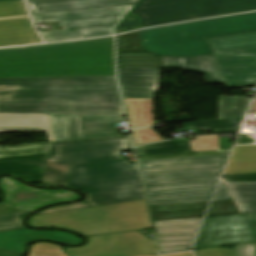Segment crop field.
I'll return each mask as SVG.
<instances>
[{
  "mask_svg": "<svg viewBox=\"0 0 256 256\" xmlns=\"http://www.w3.org/2000/svg\"><path fill=\"white\" fill-rule=\"evenodd\" d=\"M48 114L124 116L115 76L0 78V132H47Z\"/></svg>",
  "mask_w": 256,
  "mask_h": 256,
  "instance_id": "obj_1",
  "label": "crop field"
},
{
  "mask_svg": "<svg viewBox=\"0 0 256 256\" xmlns=\"http://www.w3.org/2000/svg\"><path fill=\"white\" fill-rule=\"evenodd\" d=\"M115 75L113 38L0 49V77Z\"/></svg>",
  "mask_w": 256,
  "mask_h": 256,
  "instance_id": "obj_2",
  "label": "crop field"
},
{
  "mask_svg": "<svg viewBox=\"0 0 256 256\" xmlns=\"http://www.w3.org/2000/svg\"><path fill=\"white\" fill-rule=\"evenodd\" d=\"M227 156L140 162L149 205L209 201Z\"/></svg>",
  "mask_w": 256,
  "mask_h": 256,
  "instance_id": "obj_3",
  "label": "crop field"
},
{
  "mask_svg": "<svg viewBox=\"0 0 256 256\" xmlns=\"http://www.w3.org/2000/svg\"><path fill=\"white\" fill-rule=\"evenodd\" d=\"M71 167L69 187L86 194L85 202L92 206L83 203L56 206L37 214L145 199L138 166L128 165L126 159Z\"/></svg>",
  "mask_w": 256,
  "mask_h": 256,
  "instance_id": "obj_4",
  "label": "crop field"
},
{
  "mask_svg": "<svg viewBox=\"0 0 256 256\" xmlns=\"http://www.w3.org/2000/svg\"><path fill=\"white\" fill-rule=\"evenodd\" d=\"M29 223L36 227L68 228L86 237L150 227L145 200L37 215Z\"/></svg>",
  "mask_w": 256,
  "mask_h": 256,
  "instance_id": "obj_5",
  "label": "crop field"
},
{
  "mask_svg": "<svg viewBox=\"0 0 256 256\" xmlns=\"http://www.w3.org/2000/svg\"><path fill=\"white\" fill-rule=\"evenodd\" d=\"M130 149L129 136L51 143L42 186H68L71 165L120 159Z\"/></svg>",
  "mask_w": 256,
  "mask_h": 256,
  "instance_id": "obj_6",
  "label": "crop field"
},
{
  "mask_svg": "<svg viewBox=\"0 0 256 256\" xmlns=\"http://www.w3.org/2000/svg\"><path fill=\"white\" fill-rule=\"evenodd\" d=\"M256 10V0H141L132 11L142 27Z\"/></svg>",
  "mask_w": 256,
  "mask_h": 256,
  "instance_id": "obj_7",
  "label": "crop field"
},
{
  "mask_svg": "<svg viewBox=\"0 0 256 256\" xmlns=\"http://www.w3.org/2000/svg\"><path fill=\"white\" fill-rule=\"evenodd\" d=\"M134 6L73 10L32 16L35 23L61 21L63 30L40 32L46 42H52L115 34L116 26Z\"/></svg>",
  "mask_w": 256,
  "mask_h": 256,
  "instance_id": "obj_8",
  "label": "crop field"
},
{
  "mask_svg": "<svg viewBox=\"0 0 256 256\" xmlns=\"http://www.w3.org/2000/svg\"><path fill=\"white\" fill-rule=\"evenodd\" d=\"M170 27L183 56L214 54L208 39L256 31V12Z\"/></svg>",
  "mask_w": 256,
  "mask_h": 256,
  "instance_id": "obj_9",
  "label": "crop field"
},
{
  "mask_svg": "<svg viewBox=\"0 0 256 256\" xmlns=\"http://www.w3.org/2000/svg\"><path fill=\"white\" fill-rule=\"evenodd\" d=\"M219 76L230 87L256 85V32L209 39Z\"/></svg>",
  "mask_w": 256,
  "mask_h": 256,
  "instance_id": "obj_10",
  "label": "crop field"
},
{
  "mask_svg": "<svg viewBox=\"0 0 256 256\" xmlns=\"http://www.w3.org/2000/svg\"><path fill=\"white\" fill-rule=\"evenodd\" d=\"M256 242V214L207 218L194 250Z\"/></svg>",
  "mask_w": 256,
  "mask_h": 256,
  "instance_id": "obj_11",
  "label": "crop field"
},
{
  "mask_svg": "<svg viewBox=\"0 0 256 256\" xmlns=\"http://www.w3.org/2000/svg\"><path fill=\"white\" fill-rule=\"evenodd\" d=\"M69 256H140L156 254L154 240L138 231L88 238L86 245L67 248Z\"/></svg>",
  "mask_w": 256,
  "mask_h": 256,
  "instance_id": "obj_12",
  "label": "crop field"
},
{
  "mask_svg": "<svg viewBox=\"0 0 256 256\" xmlns=\"http://www.w3.org/2000/svg\"><path fill=\"white\" fill-rule=\"evenodd\" d=\"M50 143L0 147V174L41 182Z\"/></svg>",
  "mask_w": 256,
  "mask_h": 256,
  "instance_id": "obj_13",
  "label": "crop field"
},
{
  "mask_svg": "<svg viewBox=\"0 0 256 256\" xmlns=\"http://www.w3.org/2000/svg\"><path fill=\"white\" fill-rule=\"evenodd\" d=\"M55 140L117 135L113 124L123 117L49 115Z\"/></svg>",
  "mask_w": 256,
  "mask_h": 256,
  "instance_id": "obj_14",
  "label": "crop field"
},
{
  "mask_svg": "<svg viewBox=\"0 0 256 256\" xmlns=\"http://www.w3.org/2000/svg\"><path fill=\"white\" fill-rule=\"evenodd\" d=\"M202 219L153 222L161 254L190 250Z\"/></svg>",
  "mask_w": 256,
  "mask_h": 256,
  "instance_id": "obj_15",
  "label": "crop field"
},
{
  "mask_svg": "<svg viewBox=\"0 0 256 256\" xmlns=\"http://www.w3.org/2000/svg\"><path fill=\"white\" fill-rule=\"evenodd\" d=\"M118 78L123 98H153L159 70L118 69Z\"/></svg>",
  "mask_w": 256,
  "mask_h": 256,
  "instance_id": "obj_16",
  "label": "crop field"
},
{
  "mask_svg": "<svg viewBox=\"0 0 256 256\" xmlns=\"http://www.w3.org/2000/svg\"><path fill=\"white\" fill-rule=\"evenodd\" d=\"M128 35V38L126 37ZM117 37L118 68L138 69H161L163 68L162 58L154 54H128L119 52H140L144 51L139 47V31ZM126 39H129L130 50H128Z\"/></svg>",
  "mask_w": 256,
  "mask_h": 256,
  "instance_id": "obj_17",
  "label": "crop field"
},
{
  "mask_svg": "<svg viewBox=\"0 0 256 256\" xmlns=\"http://www.w3.org/2000/svg\"><path fill=\"white\" fill-rule=\"evenodd\" d=\"M256 172V141L243 127L223 175Z\"/></svg>",
  "mask_w": 256,
  "mask_h": 256,
  "instance_id": "obj_18",
  "label": "crop field"
},
{
  "mask_svg": "<svg viewBox=\"0 0 256 256\" xmlns=\"http://www.w3.org/2000/svg\"><path fill=\"white\" fill-rule=\"evenodd\" d=\"M31 239H53L68 244L80 242L76 236L63 232H35L22 229L0 233V250L21 253L23 245Z\"/></svg>",
  "mask_w": 256,
  "mask_h": 256,
  "instance_id": "obj_19",
  "label": "crop field"
},
{
  "mask_svg": "<svg viewBox=\"0 0 256 256\" xmlns=\"http://www.w3.org/2000/svg\"><path fill=\"white\" fill-rule=\"evenodd\" d=\"M32 14L136 4L138 0H27Z\"/></svg>",
  "mask_w": 256,
  "mask_h": 256,
  "instance_id": "obj_20",
  "label": "crop field"
},
{
  "mask_svg": "<svg viewBox=\"0 0 256 256\" xmlns=\"http://www.w3.org/2000/svg\"><path fill=\"white\" fill-rule=\"evenodd\" d=\"M42 43L29 18L0 21V47Z\"/></svg>",
  "mask_w": 256,
  "mask_h": 256,
  "instance_id": "obj_21",
  "label": "crop field"
},
{
  "mask_svg": "<svg viewBox=\"0 0 256 256\" xmlns=\"http://www.w3.org/2000/svg\"><path fill=\"white\" fill-rule=\"evenodd\" d=\"M141 47L158 56H181L169 26L141 32Z\"/></svg>",
  "mask_w": 256,
  "mask_h": 256,
  "instance_id": "obj_22",
  "label": "crop field"
},
{
  "mask_svg": "<svg viewBox=\"0 0 256 256\" xmlns=\"http://www.w3.org/2000/svg\"><path fill=\"white\" fill-rule=\"evenodd\" d=\"M209 202L204 203H192V204H180V205H168V206H156L150 207L153 221L159 220H172V219H184V218H197L203 217L205 211H192V212H174V213H164L171 211H183V210H195V209H205Z\"/></svg>",
  "mask_w": 256,
  "mask_h": 256,
  "instance_id": "obj_23",
  "label": "crop field"
},
{
  "mask_svg": "<svg viewBox=\"0 0 256 256\" xmlns=\"http://www.w3.org/2000/svg\"><path fill=\"white\" fill-rule=\"evenodd\" d=\"M185 69L204 74L206 83H222L214 55L183 58Z\"/></svg>",
  "mask_w": 256,
  "mask_h": 256,
  "instance_id": "obj_24",
  "label": "crop field"
},
{
  "mask_svg": "<svg viewBox=\"0 0 256 256\" xmlns=\"http://www.w3.org/2000/svg\"><path fill=\"white\" fill-rule=\"evenodd\" d=\"M241 213H256V184H226Z\"/></svg>",
  "mask_w": 256,
  "mask_h": 256,
  "instance_id": "obj_25",
  "label": "crop field"
},
{
  "mask_svg": "<svg viewBox=\"0 0 256 256\" xmlns=\"http://www.w3.org/2000/svg\"><path fill=\"white\" fill-rule=\"evenodd\" d=\"M137 155L192 152L189 141H169L136 148Z\"/></svg>",
  "mask_w": 256,
  "mask_h": 256,
  "instance_id": "obj_26",
  "label": "crop field"
},
{
  "mask_svg": "<svg viewBox=\"0 0 256 256\" xmlns=\"http://www.w3.org/2000/svg\"><path fill=\"white\" fill-rule=\"evenodd\" d=\"M243 118L211 120L200 122H189L184 125H191L192 130H213L214 133L236 132Z\"/></svg>",
  "mask_w": 256,
  "mask_h": 256,
  "instance_id": "obj_27",
  "label": "crop field"
},
{
  "mask_svg": "<svg viewBox=\"0 0 256 256\" xmlns=\"http://www.w3.org/2000/svg\"><path fill=\"white\" fill-rule=\"evenodd\" d=\"M197 256H256V243L236 245L233 249L212 248L194 251Z\"/></svg>",
  "mask_w": 256,
  "mask_h": 256,
  "instance_id": "obj_28",
  "label": "crop field"
},
{
  "mask_svg": "<svg viewBox=\"0 0 256 256\" xmlns=\"http://www.w3.org/2000/svg\"><path fill=\"white\" fill-rule=\"evenodd\" d=\"M235 96H220L219 119L243 117L251 99L238 96L234 107L245 109H231Z\"/></svg>",
  "mask_w": 256,
  "mask_h": 256,
  "instance_id": "obj_29",
  "label": "crop field"
},
{
  "mask_svg": "<svg viewBox=\"0 0 256 256\" xmlns=\"http://www.w3.org/2000/svg\"><path fill=\"white\" fill-rule=\"evenodd\" d=\"M196 141H190L193 152L219 150V135L195 136Z\"/></svg>",
  "mask_w": 256,
  "mask_h": 256,
  "instance_id": "obj_30",
  "label": "crop field"
},
{
  "mask_svg": "<svg viewBox=\"0 0 256 256\" xmlns=\"http://www.w3.org/2000/svg\"><path fill=\"white\" fill-rule=\"evenodd\" d=\"M240 213L234 200L213 202L207 217Z\"/></svg>",
  "mask_w": 256,
  "mask_h": 256,
  "instance_id": "obj_31",
  "label": "crop field"
},
{
  "mask_svg": "<svg viewBox=\"0 0 256 256\" xmlns=\"http://www.w3.org/2000/svg\"><path fill=\"white\" fill-rule=\"evenodd\" d=\"M27 213L28 212L25 211H19L16 213L0 216V232L24 228V226L21 224L23 218L20 216Z\"/></svg>",
  "mask_w": 256,
  "mask_h": 256,
  "instance_id": "obj_32",
  "label": "crop field"
},
{
  "mask_svg": "<svg viewBox=\"0 0 256 256\" xmlns=\"http://www.w3.org/2000/svg\"><path fill=\"white\" fill-rule=\"evenodd\" d=\"M229 152H230V150H226V151L198 152V153H183V154H166V155L143 156V157H138V159H139V161H144V160L180 158V157L221 155V154H229Z\"/></svg>",
  "mask_w": 256,
  "mask_h": 256,
  "instance_id": "obj_33",
  "label": "crop field"
},
{
  "mask_svg": "<svg viewBox=\"0 0 256 256\" xmlns=\"http://www.w3.org/2000/svg\"><path fill=\"white\" fill-rule=\"evenodd\" d=\"M27 14L23 1L0 3V17Z\"/></svg>",
  "mask_w": 256,
  "mask_h": 256,
  "instance_id": "obj_34",
  "label": "crop field"
},
{
  "mask_svg": "<svg viewBox=\"0 0 256 256\" xmlns=\"http://www.w3.org/2000/svg\"><path fill=\"white\" fill-rule=\"evenodd\" d=\"M136 29H139V19L138 17L129 14L117 26L116 34Z\"/></svg>",
  "mask_w": 256,
  "mask_h": 256,
  "instance_id": "obj_35",
  "label": "crop field"
},
{
  "mask_svg": "<svg viewBox=\"0 0 256 256\" xmlns=\"http://www.w3.org/2000/svg\"><path fill=\"white\" fill-rule=\"evenodd\" d=\"M226 182H256V174L223 176Z\"/></svg>",
  "mask_w": 256,
  "mask_h": 256,
  "instance_id": "obj_36",
  "label": "crop field"
},
{
  "mask_svg": "<svg viewBox=\"0 0 256 256\" xmlns=\"http://www.w3.org/2000/svg\"><path fill=\"white\" fill-rule=\"evenodd\" d=\"M164 68H180L184 69L182 58L163 57Z\"/></svg>",
  "mask_w": 256,
  "mask_h": 256,
  "instance_id": "obj_37",
  "label": "crop field"
},
{
  "mask_svg": "<svg viewBox=\"0 0 256 256\" xmlns=\"http://www.w3.org/2000/svg\"><path fill=\"white\" fill-rule=\"evenodd\" d=\"M233 199L225 184L221 181L213 201Z\"/></svg>",
  "mask_w": 256,
  "mask_h": 256,
  "instance_id": "obj_38",
  "label": "crop field"
},
{
  "mask_svg": "<svg viewBox=\"0 0 256 256\" xmlns=\"http://www.w3.org/2000/svg\"><path fill=\"white\" fill-rule=\"evenodd\" d=\"M16 210L15 207L9 205L7 202L0 203V214Z\"/></svg>",
  "mask_w": 256,
  "mask_h": 256,
  "instance_id": "obj_39",
  "label": "crop field"
},
{
  "mask_svg": "<svg viewBox=\"0 0 256 256\" xmlns=\"http://www.w3.org/2000/svg\"><path fill=\"white\" fill-rule=\"evenodd\" d=\"M157 256V255H154ZM161 256H192L190 252H184V253H175V254H166Z\"/></svg>",
  "mask_w": 256,
  "mask_h": 256,
  "instance_id": "obj_40",
  "label": "crop field"
},
{
  "mask_svg": "<svg viewBox=\"0 0 256 256\" xmlns=\"http://www.w3.org/2000/svg\"><path fill=\"white\" fill-rule=\"evenodd\" d=\"M248 113H256V96Z\"/></svg>",
  "mask_w": 256,
  "mask_h": 256,
  "instance_id": "obj_41",
  "label": "crop field"
},
{
  "mask_svg": "<svg viewBox=\"0 0 256 256\" xmlns=\"http://www.w3.org/2000/svg\"><path fill=\"white\" fill-rule=\"evenodd\" d=\"M21 254H16V253H7V252H1L0 251V256H20Z\"/></svg>",
  "mask_w": 256,
  "mask_h": 256,
  "instance_id": "obj_42",
  "label": "crop field"
},
{
  "mask_svg": "<svg viewBox=\"0 0 256 256\" xmlns=\"http://www.w3.org/2000/svg\"><path fill=\"white\" fill-rule=\"evenodd\" d=\"M24 17H29V16L28 15H24V16L6 17V18H0V20L14 19V18H24Z\"/></svg>",
  "mask_w": 256,
  "mask_h": 256,
  "instance_id": "obj_43",
  "label": "crop field"
},
{
  "mask_svg": "<svg viewBox=\"0 0 256 256\" xmlns=\"http://www.w3.org/2000/svg\"><path fill=\"white\" fill-rule=\"evenodd\" d=\"M251 131L253 132V139L256 140V130H251Z\"/></svg>",
  "mask_w": 256,
  "mask_h": 256,
  "instance_id": "obj_44",
  "label": "crop field"
},
{
  "mask_svg": "<svg viewBox=\"0 0 256 256\" xmlns=\"http://www.w3.org/2000/svg\"><path fill=\"white\" fill-rule=\"evenodd\" d=\"M249 117H256V114H248Z\"/></svg>",
  "mask_w": 256,
  "mask_h": 256,
  "instance_id": "obj_45",
  "label": "crop field"
},
{
  "mask_svg": "<svg viewBox=\"0 0 256 256\" xmlns=\"http://www.w3.org/2000/svg\"><path fill=\"white\" fill-rule=\"evenodd\" d=\"M6 1H16V0H0V2H6Z\"/></svg>",
  "mask_w": 256,
  "mask_h": 256,
  "instance_id": "obj_46",
  "label": "crop field"
}]
</instances>
